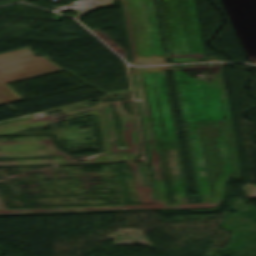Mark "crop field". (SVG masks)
<instances>
[{
    "mask_svg": "<svg viewBox=\"0 0 256 256\" xmlns=\"http://www.w3.org/2000/svg\"><path fill=\"white\" fill-rule=\"evenodd\" d=\"M145 73L163 72L161 66L144 67Z\"/></svg>",
    "mask_w": 256,
    "mask_h": 256,
    "instance_id": "obj_3",
    "label": "crop field"
},
{
    "mask_svg": "<svg viewBox=\"0 0 256 256\" xmlns=\"http://www.w3.org/2000/svg\"><path fill=\"white\" fill-rule=\"evenodd\" d=\"M221 101H222V107H223V113H224L225 119L230 118L228 104H227V98H226V92H224L223 95L221 96Z\"/></svg>",
    "mask_w": 256,
    "mask_h": 256,
    "instance_id": "obj_2",
    "label": "crop field"
},
{
    "mask_svg": "<svg viewBox=\"0 0 256 256\" xmlns=\"http://www.w3.org/2000/svg\"><path fill=\"white\" fill-rule=\"evenodd\" d=\"M59 70L44 57L33 56L28 48L0 54V105L23 99L6 83Z\"/></svg>",
    "mask_w": 256,
    "mask_h": 256,
    "instance_id": "obj_1",
    "label": "crop field"
}]
</instances>
